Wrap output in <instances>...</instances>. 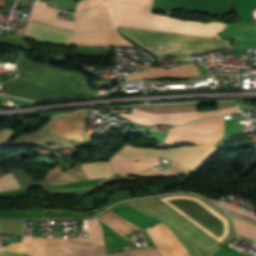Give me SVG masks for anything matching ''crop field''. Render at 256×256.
<instances>
[{
	"mask_svg": "<svg viewBox=\"0 0 256 256\" xmlns=\"http://www.w3.org/2000/svg\"><path fill=\"white\" fill-rule=\"evenodd\" d=\"M20 247L30 256H46V239L23 237ZM49 256H105L98 220H88V238L49 239Z\"/></svg>",
	"mask_w": 256,
	"mask_h": 256,
	"instance_id": "4",
	"label": "crop field"
},
{
	"mask_svg": "<svg viewBox=\"0 0 256 256\" xmlns=\"http://www.w3.org/2000/svg\"><path fill=\"white\" fill-rule=\"evenodd\" d=\"M217 202H218L219 204H221L223 207H225L226 209H228V210H230V211H232V212H234V213H236V214H239V215H242V216L251 218V219H253V220H256V216H254V215H252V214H250V213H247V212H245V211H243V210H240V209H238V208H236V207H233V206H231V205H228V204H226V203H224V202H221V201H217Z\"/></svg>",
	"mask_w": 256,
	"mask_h": 256,
	"instance_id": "22",
	"label": "crop field"
},
{
	"mask_svg": "<svg viewBox=\"0 0 256 256\" xmlns=\"http://www.w3.org/2000/svg\"><path fill=\"white\" fill-rule=\"evenodd\" d=\"M103 4L104 0H82L78 3L75 13L85 12Z\"/></svg>",
	"mask_w": 256,
	"mask_h": 256,
	"instance_id": "20",
	"label": "crop field"
},
{
	"mask_svg": "<svg viewBox=\"0 0 256 256\" xmlns=\"http://www.w3.org/2000/svg\"><path fill=\"white\" fill-rule=\"evenodd\" d=\"M221 37L236 41L256 40V24L242 21L232 23L221 32Z\"/></svg>",
	"mask_w": 256,
	"mask_h": 256,
	"instance_id": "11",
	"label": "crop field"
},
{
	"mask_svg": "<svg viewBox=\"0 0 256 256\" xmlns=\"http://www.w3.org/2000/svg\"><path fill=\"white\" fill-rule=\"evenodd\" d=\"M233 218V217H232ZM234 219L237 233L240 237L247 236L256 241V226L243 222L238 219ZM256 246V244H255Z\"/></svg>",
	"mask_w": 256,
	"mask_h": 256,
	"instance_id": "16",
	"label": "crop field"
},
{
	"mask_svg": "<svg viewBox=\"0 0 256 256\" xmlns=\"http://www.w3.org/2000/svg\"><path fill=\"white\" fill-rule=\"evenodd\" d=\"M19 185L16 180L13 178L11 173H8L0 177V191L2 190H14L19 189Z\"/></svg>",
	"mask_w": 256,
	"mask_h": 256,
	"instance_id": "19",
	"label": "crop field"
},
{
	"mask_svg": "<svg viewBox=\"0 0 256 256\" xmlns=\"http://www.w3.org/2000/svg\"><path fill=\"white\" fill-rule=\"evenodd\" d=\"M11 173L21 186V188L28 187V186H36L32 176L26 175L23 169L18 170H11Z\"/></svg>",
	"mask_w": 256,
	"mask_h": 256,
	"instance_id": "18",
	"label": "crop field"
},
{
	"mask_svg": "<svg viewBox=\"0 0 256 256\" xmlns=\"http://www.w3.org/2000/svg\"><path fill=\"white\" fill-rule=\"evenodd\" d=\"M224 116L198 120L171 128L165 143L215 146L223 136Z\"/></svg>",
	"mask_w": 256,
	"mask_h": 256,
	"instance_id": "6",
	"label": "crop field"
},
{
	"mask_svg": "<svg viewBox=\"0 0 256 256\" xmlns=\"http://www.w3.org/2000/svg\"><path fill=\"white\" fill-rule=\"evenodd\" d=\"M2 163H3V159L0 158V166L2 165ZM3 174H4V173H1V172H0V176L3 175Z\"/></svg>",
	"mask_w": 256,
	"mask_h": 256,
	"instance_id": "26",
	"label": "crop field"
},
{
	"mask_svg": "<svg viewBox=\"0 0 256 256\" xmlns=\"http://www.w3.org/2000/svg\"><path fill=\"white\" fill-rule=\"evenodd\" d=\"M75 43L127 44L116 33L109 16L75 18Z\"/></svg>",
	"mask_w": 256,
	"mask_h": 256,
	"instance_id": "7",
	"label": "crop field"
},
{
	"mask_svg": "<svg viewBox=\"0 0 256 256\" xmlns=\"http://www.w3.org/2000/svg\"><path fill=\"white\" fill-rule=\"evenodd\" d=\"M117 28L124 35L160 57L175 54L179 55L178 59H190L189 53H203L212 49L231 48L229 40L140 30L120 26H117Z\"/></svg>",
	"mask_w": 256,
	"mask_h": 256,
	"instance_id": "3",
	"label": "crop field"
},
{
	"mask_svg": "<svg viewBox=\"0 0 256 256\" xmlns=\"http://www.w3.org/2000/svg\"><path fill=\"white\" fill-rule=\"evenodd\" d=\"M152 0H108L116 25L174 33L219 37L225 23L182 21L150 14Z\"/></svg>",
	"mask_w": 256,
	"mask_h": 256,
	"instance_id": "2",
	"label": "crop field"
},
{
	"mask_svg": "<svg viewBox=\"0 0 256 256\" xmlns=\"http://www.w3.org/2000/svg\"><path fill=\"white\" fill-rule=\"evenodd\" d=\"M100 15H109L106 6H103L101 8H98L96 10L87 12L85 14L82 15H74L75 17H83V16H100Z\"/></svg>",
	"mask_w": 256,
	"mask_h": 256,
	"instance_id": "23",
	"label": "crop field"
},
{
	"mask_svg": "<svg viewBox=\"0 0 256 256\" xmlns=\"http://www.w3.org/2000/svg\"><path fill=\"white\" fill-rule=\"evenodd\" d=\"M178 174L173 173L169 170H147L137 176L152 177V176H176Z\"/></svg>",
	"mask_w": 256,
	"mask_h": 256,
	"instance_id": "21",
	"label": "crop field"
},
{
	"mask_svg": "<svg viewBox=\"0 0 256 256\" xmlns=\"http://www.w3.org/2000/svg\"><path fill=\"white\" fill-rule=\"evenodd\" d=\"M235 106L228 107L219 110L207 111V112H189V113H177V114H150L133 108L132 114H120V117H125L132 121L143 123L146 125H154L161 122H170L175 124L187 123L192 120L201 119L204 117L223 115L233 113Z\"/></svg>",
	"mask_w": 256,
	"mask_h": 256,
	"instance_id": "8",
	"label": "crop field"
},
{
	"mask_svg": "<svg viewBox=\"0 0 256 256\" xmlns=\"http://www.w3.org/2000/svg\"><path fill=\"white\" fill-rule=\"evenodd\" d=\"M81 167L88 179L112 175L108 162L81 164Z\"/></svg>",
	"mask_w": 256,
	"mask_h": 256,
	"instance_id": "14",
	"label": "crop field"
},
{
	"mask_svg": "<svg viewBox=\"0 0 256 256\" xmlns=\"http://www.w3.org/2000/svg\"><path fill=\"white\" fill-rule=\"evenodd\" d=\"M156 254H161V253L158 250L147 247V248L124 251L121 253L106 254V256H145V255H156ZM156 256H161V255H156Z\"/></svg>",
	"mask_w": 256,
	"mask_h": 256,
	"instance_id": "17",
	"label": "crop field"
},
{
	"mask_svg": "<svg viewBox=\"0 0 256 256\" xmlns=\"http://www.w3.org/2000/svg\"><path fill=\"white\" fill-rule=\"evenodd\" d=\"M185 9L207 14L222 15L232 11V0H154L152 9Z\"/></svg>",
	"mask_w": 256,
	"mask_h": 256,
	"instance_id": "9",
	"label": "crop field"
},
{
	"mask_svg": "<svg viewBox=\"0 0 256 256\" xmlns=\"http://www.w3.org/2000/svg\"><path fill=\"white\" fill-rule=\"evenodd\" d=\"M219 148L209 146H187L174 149H142L125 145L110 159L115 174H137L149 168L161 158H168L171 169L190 174ZM137 160V162H135Z\"/></svg>",
	"mask_w": 256,
	"mask_h": 256,
	"instance_id": "1",
	"label": "crop field"
},
{
	"mask_svg": "<svg viewBox=\"0 0 256 256\" xmlns=\"http://www.w3.org/2000/svg\"><path fill=\"white\" fill-rule=\"evenodd\" d=\"M157 230L164 237L167 245L169 246L173 256H190L184 245L172 233L170 228L162 223L156 225Z\"/></svg>",
	"mask_w": 256,
	"mask_h": 256,
	"instance_id": "13",
	"label": "crop field"
},
{
	"mask_svg": "<svg viewBox=\"0 0 256 256\" xmlns=\"http://www.w3.org/2000/svg\"><path fill=\"white\" fill-rule=\"evenodd\" d=\"M58 11L37 5L28 26L74 35L73 22L56 18ZM28 27L24 34L31 37L62 44H74V36Z\"/></svg>",
	"mask_w": 256,
	"mask_h": 256,
	"instance_id": "5",
	"label": "crop field"
},
{
	"mask_svg": "<svg viewBox=\"0 0 256 256\" xmlns=\"http://www.w3.org/2000/svg\"><path fill=\"white\" fill-rule=\"evenodd\" d=\"M15 135V131L7 128L0 132V142L10 139L12 136Z\"/></svg>",
	"mask_w": 256,
	"mask_h": 256,
	"instance_id": "24",
	"label": "crop field"
},
{
	"mask_svg": "<svg viewBox=\"0 0 256 256\" xmlns=\"http://www.w3.org/2000/svg\"><path fill=\"white\" fill-rule=\"evenodd\" d=\"M200 75V72L193 63L177 66L165 70V68H152V71H146L131 75L129 79H149L161 77H190Z\"/></svg>",
	"mask_w": 256,
	"mask_h": 256,
	"instance_id": "10",
	"label": "crop field"
},
{
	"mask_svg": "<svg viewBox=\"0 0 256 256\" xmlns=\"http://www.w3.org/2000/svg\"><path fill=\"white\" fill-rule=\"evenodd\" d=\"M196 104L188 105H169V106H151V107H137V109L151 112V113H176L184 111L195 110Z\"/></svg>",
	"mask_w": 256,
	"mask_h": 256,
	"instance_id": "15",
	"label": "crop field"
},
{
	"mask_svg": "<svg viewBox=\"0 0 256 256\" xmlns=\"http://www.w3.org/2000/svg\"><path fill=\"white\" fill-rule=\"evenodd\" d=\"M212 256H249V255L234 254V253L228 252L222 248H219Z\"/></svg>",
	"mask_w": 256,
	"mask_h": 256,
	"instance_id": "25",
	"label": "crop field"
},
{
	"mask_svg": "<svg viewBox=\"0 0 256 256\" xmlns=\"http://www.w3.org/2000/svg\"><path fill=\"white\" fill-rule=\"evenodd\" d=\"M98 218H101L103 221L108 223L112 228H114L121 235L126 234L131 231L141 229L139 226L126 219L116 211H111L105 215H102Z\"/></svg>",
	"mask_w": 256,
	"mask_h": 256,
	"instance_id": "12",
	"label": "crop field"
}]
</instances>
